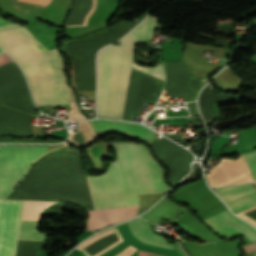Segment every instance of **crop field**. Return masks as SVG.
Segmentation results:
<instances>
[{
    "mask_svg": "<svg viewBox=\"0 0 256 256\" xmlns=\"http://www.w3.org/2000/svg\"><path fill=\"white\" fill-rule=\"evenodd\" d=\"M117 160L102 176L87 177L94 209L138 205V194L166 192L164 171L148 148L134 142H111Z\"/></svg>",
    "mask_w": 256,
    "mask_h": 256,
    "instance_id": "8a807250",
    "label": "crop field"
},
{
    "mask_svg": "<svg viewBox=\"0 0 256 256\" xmlns=\"http://www.w3.org/2000/svg\"><path fill=\"white\" fill-rule=\"evenodd\" d=\"M0 46L24 70L37 105L69 103L62 58L56 49L47 52L25 27L0 32Z\"/></svg>",
    "mask_w": 256,
    "mask_h": 256,
    "instance_id": "ac0d7876",
    "label": "crop field"
},
{
    "mask_svg": "<svg viewBox=\"0 0 256 256\" xmlns=\"http://www.w3.org/2000/svg\"><path fill=\"white\" fill-rule=\"evenodd\" d=\"M157 19L147 17L136 29L99 54L98 117L121 119L136 42H148Z\"/></svg>",
    "mask_w": 256,
    "mask_h": 256,
    "instance_id": "34b2d1b8",
    "label": "crop field"
},
{
    "mask_svg": "<svg viewBox=\"0 0 256 256\" xmlns=\"http://www.w3.org/2000/svg\"><path fill=\"white\" fill-rule=\"evenodd\" d=\"M49 145H0V197H7Z\"/></svg>",
    "mask_w": 256,
    "mask_h": 256,
    "instance_id": "412701ff",
    "label": "crop field"
},
{
    "mask_svg": "<svg viewBox=\"0 0 256 256\" xmlns=\"http://www.w3.org/2000/svg\"><path fill=\"white\" fill-rule=\"evenodd\" d=\"M0 105L37 116L24 79L14 62L0 67Z\"/></svg>",
    "mask_w": 256,
    "mask_h": 256,
    "instance_id": "f4fd0767",
    "label": "crop field"
},
{
    "mask_svg": "<svg viewBox=\"0 0 256 256\" xmlns=\"http://www.w3.org/2000/svg\"><path fill=\"white\" fill-rule=\"evenodd\" d=\"M163 81L132 68L122 119L138 115L144 102L155 104L161 94Z\"/></svg>",
    "mask_w": 256,
    "mask_h": 256,
    "instance_id": "dd49c442",
    "label": "crop field"
},
{
    "mask_svg": "<svg viewBox=\"0 0 256 256\" xmlns=\"http://www.w3.org/2000/svg\"><path fill=\"white\" fill-rule=\"evenodd\" d=\"M183 63L182 61L163 63L167 76L164 91L170 97L186 96V101H192L196 99L198 90L206 79L193 77L192 69L187 68Z\"/></svg>",
    "mask_w": 256,
    "mask_h": 256,
    "instance_id": "e52e79f7",
    "label": "crop field"
},
{
    "mask_svg": "<svg viewBox=\"0 0 256 256\" xmlns=\"http://www.w3.org/2000/svg\"><path fill=\"white\" fill-rule=\"evenodd\" d=\"M22 204L0 199V256H15Z\"/></svg>",
    "mask_w": 256,
    "mask_h": 256,
    "instance_id": "d8731c3e",
    "label": "crop field"
},
{
    "mask_svg": "<svg viewBox=\"0 0 256 256\" xmlns=\"http://www.w3.org/2000/svg\"><path fill=\"white\" fill-rule=\"evenodd\" d=\"M211 228L225 238L242 234L245 244L256 241V230L235 218L228 210L203 219Z\"/></svg>",
    "mask_w": 256,
    "mask_h": 256,
    "instance_id": "5a996713",
    "label": "crop field"
},
{
    "mask_svg": "<svg viewBox=\"0 0 256 256\" xmlns=\"http://www.w3.org/2000/svg\"><path fill=\"white\" fill-rule=\"evenodd\" d=\"M214 190L235 213L256 205V190L251 183L226 186Z\"/></svg>",
    "mask_w": 256,
    "mask_h": 256,
    "instance_id": "3316defc",
    "label": "crop field"
},
{
    "mask_svg": "<svg viewBox=\"0 0 256 256\" xmlns=\"http://www.w3.org/2000/svg\"><path fill=\"white\" fill-rule=\"evenodd\" d=\"M55 202L24 201L22 219L39 220L40 212ZM21 220L18 240H44L46 234L36 230L39 221Z\"/></svg>",
    "mask_w": 256,
    "mask_h": 256,
    "instance_id": "28ad6ade",
    "label": "crop field"
},
{
    "mask_svg": "<svg viewBox=\"0 0 256 256\" xmlns=\"http://www.w3.org/2000/svg\"><path fill=\"white\" fill-rule=\"evenodd\" d=\"M30 120V115L0 107V135L10 134L15 137L33 136Z\"/></svg>",
    "mask_w": 256,
    "mask_h": 256,
    "instance_id": "d1516ede",
    "label": "crop field"
},
{
    "mask_svg": "<svg viewBox=\"0 0 256 256\" xmlns=\"http://www.w3.org/2000/svg\"><path fill=\"white\" fill-rule=\"evenodd\" d=\"M90 122L94 130L127 132L134 134L148 142L156 138L154 135L157 134L148 128L132 123H122L111 120H91Z\"/></svg>",
    "mask_w": 256,
    "mask_h": 256,
    "instance_id": "22f410ed",
    "label": "crop field"
},
{
    "mask_svg": "<svg viewBox=\"0 0 256 256\" xmlns=\"http://www.w3.org/2000/svg\"><path fill=\"white\" fill-rule=\"evenodd\" d=\"M132 231V233L140 240L148 243V244H151V245H157V246H162V247H166V248H171L173 249L172 245H168L164 238L162 237H159L155 234H153L150 230H149V226H148V223L143 221V220H140V219H137V220H134L130 223H127ZM179 244V243H178ZM178 244H174L175 247L178 249V251L181 253L182 256H186L185 255V251L183 250V248L181 247V245L179 244V246L182 248V251L181 248L178 246Z\"/></svg>",
    "mask_w": 256,
    "mask_h": 256,
    "instance_id": "cbeb9de0",
    "label": "crop field"
},
{
    "mask_svg": "<svg viewBox=\"0 0 256 256\" xmlns=\"http://www.w3.org/2000/svg\"><path fill=\"white\" fill-rule=\"evenodd\" d=\"M111 209H101L97 211H87L90 214L87 228L88 230H98L109 225Z\"/></svg>",
    "mask_w": 256,
    "mask_h": 256,
    "instance_id": "5142ce71",
    "label": "crop field"
},
{
    "mask_svg": "<svg viewBox=\"0 0 256 256\" xmlns=\"http://www.w3.org/2000/svg\"><path fill=\"white\" fill-rule=\"evenodd\" d=\"M39 241H18L16 256H36Z\"/></svg>",
    "mask_w": 256,
    "mask_h": 256,
    "instance_id": "d9b57169",
    "label": "crop field"
},
{
    "mask_svg": "<svg viewBox=\"0 0 256 256\" xmlns=\"http://www.w3.org/2000/svg\"><path fill=\"white\" fill-rule=\"evenodd\" d=\"M133 68L140 70L144 73H147L149 75H152L156 78H159L161 80L165 81V74H164V70H163V66H162V62H158V64L152 68H148V67H139L138 65L135 64V62H133L132 65Z\"/></svg>",
    "mask_w": 256,
    "mask_h": 256,
    "instance_id": "733c2abd",
    "label": "crop field"
},
{
    "mask_svg": "<svg viewBox=\"0 0 256 256\" xmlns=\"http://www.w3.org/2000/svg\"><path fill=\"white\" fill-rule=\"evenodd\" d=\"M70 93H71V99H70V103L69 106L71 108V113L68 117V120H83V119H87V117L82 113L79 112V107L76 104V95L74 93L73 90L70 89Z\"/></svg>",
    "mask_w": 256,
    "mask_h": 256,
    "instance_id": "4a817a6b",
    "label": "crop field"
},
{
    "mask_svg": "<svg viewBox=\"0 0 256 256\" xmlns=\"http://www.w3.org/2000/svg\"><path fill=\"white\" fill-rule=\"evenodd\" d=\"M241 156L244 158V160L246 161L250 169L252 179L255 180L256 179V151L241 154Z\"/></svg>",
    "mask_w": 256,
    "mask_h": 256,
    "instance_id": "bc2a9ffb",
    "label": "crop field"
},
{
    "mask_svg": "<svg viewBox=\"0 0 256 256\" xmlns=\"http://www.w3.org/2000/svg\"><path fill=\"white\" fill-rule=\"evenodd\" d=\"M247 253L256 252V242L243 247Z\"/></svg>",
    "mask_w": 256,
    "mask_h": 256,
    "instance_id": "214f88e0",
    "label": "crop field"
},
{
    "mask_svg": "<svg viewBox=\"0 0 256 256\" xmlns=\"http://www.w3.org/2000/svg\"><path fill=\"white\" fill-rule=\"evenodd\" d=\"M16 27H20V25L15 23L13 25H8V26L0 27V31L11 29V28H16Z\"/></svg>",
    "mask_w": 256,
    "mask_h": 256,
    "instance_id": "92a150f3",
    "label": "crop field"
},
{
    "mask_svg": "<svg viewBox=\"0 0 256 256\" xmlns=\"http://www.w3.org/2000/svg\"><path fill=\"white\" fill-rule=\"evenodd\" d=\"M10 23H12V22H7V21L3 20L2 18H0V26L10 24Z\"/></svg>",
    "mask_w": 256,
    "mask_h": 256,
    "instance_id": "dafd665d",
    "label": "crop field"
}]
</instances>
